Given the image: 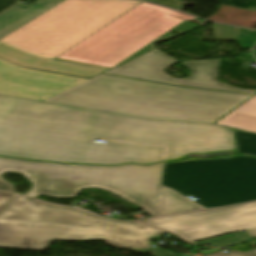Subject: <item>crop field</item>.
<instances>
[{
  "label": "crop field",
  "instance_id": "obj_4",
  "mask_svg": "<svg viewBox=\"0 0 256 256\" xmlns=\"http://www.w3.org/2000/svg\"><path fill=\"white\" fill-rule=\"evenodd\" d=\"M161 231L140 223L113 222L86 212L16 195L0 216V247L45 250L52 241L101 239L136 252L151 248Z\"/></svg>",
  "mask_w": 256,
  "mask_h": 256
},
{
  "label": "crop field",
  "instance_id": "obj_2",
  "mask_svg": "<svg viewBox=\"0 0 256 256\" xmlns=\"http://www.w3.org/2000/svg\"><path fill=\"white\" fill-rule=\"evenodd\" d=\"M251 96L100 74L45 102L149 119L213 123Z\"/></svg>",
  "mask_w": 256,
  "mask_h": 256
},
{
  "label": "crop field",
  "instance_id": "obj_13",
  "mask_svg": "<svg viewBox=\"0 0 256 256\" xmlns=\"http://www.w3.org/2000/svg\"><path fill=\"white\" fill-rule=\"evenodd\" d=\"M216 124L256 133V95Z\"/></svg>",
  "mask_w": 256,
  "mask_h": 256
},
{
  "label": "crop field",
  "instance_id": "obj_22",
  "mask_svg": "<svg viewBox=\"0 0 256 256\" xmlns=\"http://www.w3.org/2000/svg\"><path fill=\"white\" fill-rule=\"evenodd\" d=\"M151 256H179V255H176L166 249H163V250H160V251H156V252H152L150 253Z\"/></svg>",
  "mask_w": 256,
  "mask_h": 256
},
{
  "label": "crop field",
  "instance_id": "obj_12",
  "mask_svg": "<svg viewBox=\"0 0 256 256\" xmlns=\"http://www.w3.org/2000/svg\"><path fill=\"white\" fill-rule=\"evenodd\" d=\"M256 209V202L249 203V204H243L228 208H222V209H216V210H208V211H200V212H194V213H188V214H182L177 216H171L161 219H155L150 221H144L143 223H147L150 225L158 226V227H164V226H172L247 210Z\"/></svg>",
  "mask_w": 256,
  "mask_h": 256
},
{
  "label": "crop field",
  "instance_id": "obj_17",
  "mask_svg": "<svg viewBox=\"0 0 256 256\" xmlns=\"http://www.w3.org/2000/svg\"><path fill=\"white\" fill-rule=\"evenodd\" d=\"M214 40H236L237 34L233 27L213 24Z\"/></svg>",
  "mask_w": 256,
  "mask_h": 256
},
{
  "label": "crop field",
  "instance_id": "obj_3",
  "mask_svg": "<svg viewBox=\"0 0 256 256\" xmlns=\"http://www.w3.org/2000/svg\"><path fill=\"white\" fill-rule=\"evenodd\" d=\"M139 3L63 0L0 39V57L26 67L90 78L108 68L54 58Z\"/></svg>",
  "mask_w": 256,
  "mask_h": 256
},
{
  "label": "crop field",
  "instance_id": "obj_19",
  "mask_svg": "<svg viewBox=\"0 0 256 256\" xmlns=\"http://www.w3.org/2000/svg\"><path fill=\"white\" fill-rule=\"evenodd\" d=\"M246 33H250L249 36H244V35H238L239 39L237 40V42L239 43V45L243 48L248 49L251 46V43L254 42L256 40V31L254 33H251L249 31H247L246 29H242Z\"/></svg>",
  "mask_w": 256,
  "mask_h": 256
},
{
  "label": "crop field",
  "instance_id": "obj_16",
  "mask_svg": "<svg viewBox=\"0 0 256 256\" xmlns=\"http://www.w3.org/2000/svg\"><path fill=\"white\" fill-rule=\"evenodd\" d=\"M241 182L256 179V159L237 156Z\"/></svg>",
  "mask_w": 256,
  "mask_h": 256
},
{
  "label": "crop field",
  "instance_id": "obj_8",
  "mask_svg": "<svg viewBox=\"0 0 256 256\" xmlns=\"http://www.w3.org/2000/svg\"><path fill=\"white\" fill-rule=\"evenodd\" d=\"M175 63L179 62L162 51L154 50L104 73L173 85L250 94L256 93V90H242L218 82L219 60L184 62L191 70L190 77L184 79L172 78V76L163 71L169 65Z\"/></svg>",
  "mask_w": 256,
  "mask_h": 256
},
{
  "label": "crop field",
  "instance_id": "obj_23",
  "mask_svg": "<svg viewBox=\"0 0 256 256\" xmlns=\"http://www.w3.org/2000/svg\"><path fill=\"white\" fill-rule=\"evenodd\" d=\"M18 0H0V12L16 3Z\"/></svg>",
  "mask_w": 256,
  "mask_h": 256
},
{
  "label": "crop field",
  "instance_id": "obj_6",
  "mask_svg": "<svg viewBox=\"0 0 256 256\" xmlns=\"http://www.w3.org/2000/svg\"><path fill=\"white\" fill-rule=\"evenodd\" d=\"M172 12L174 10L142 2L57 59L114 68L154 50L156 42L199 27L169 16Z\"/></svg>",
  "mask_w": 256,
  "mask_h": 256
},
{
  "label": "crop field",
  "instance_id": "obj_11",
  "mask_svg": "<svg viewBox=\"0 0 256 256\" xmlns=\"http://www.w3.org/2000/svg\"><path fill=\"white\" fill-rule=\"evenodd\" d=\"M62 0H36L25 6L16 3L0 13V38Z\"/></svg>",
  "mask_w": 256,
  "mask_h": 256
},
{
  "label": "crop field",
  "instance_id": "obj_7",
  "mask_svg": "<svg viewBox=\"0 0 256 256\" xmlns=\"http://www.w3.org/2000/svg\"><path fill=\"white\" fill-rule=\"evenodd\" d=\"M161 184L205 208L256 200V181L240 183L236 157L165 163Z\"/></svg>",
  "mask_w": 256,
  "mask_h": 256
},
{
  "label": "crop field",
  "instance_id": "obj_14",
  "mask_svg": "<svg viewBox=\"0 0 256 256\" xmlns=\"http://www.w3.org/2000/svg\"><path fill=\"white\" fill-rule=\"evenodd\" d=\"M196 209L202 208L177 193L159 186L154 217Z\"/></svg>",
  "mask_w": 256,
  "mask_h": 256
},
{
  "label": "crop field",
  "instance_id": "obj_20",
  "mask_svg": "<svg viewBox=\"0 0 256 256\" xmlns=\"http://www.w3.org/2000/svg\"><path fill=\"white\" fill-rule=\"evenodd\" d=\"M153 3L161 4L164 6L172 7L179 9L182 3H180L178 0H147Z\"/></svg>",
  "mask_w": 256,
  "mask_h": 256
},
{
  "label": "crop field",
  "instance_id": "obj_21",
  "mask_svg": "<svg viewBox=\"0 0 256 256\" xmlns=\"http://www.w3.org/2000/svg\"><path fill=\"white\" fill-rule=\"evenodd\" d=\"M13 196V194L0 192V213L9 203V201L13 198Z\"/></svg>",
  "mask_w": 256,
  "mask_h": 256
},
{
  "label": "crop field",
  "instance_id": "obj_15",
  "mask_svg": "<svg viewBox=\"0 0 256 256\" xmlns=\"http://www.w3.org/2000/svg\"><path fill=\"white\" fill-rule=\"evenodd\" d=\"M235 135L238 142L239 153L256 156V134L245 131H235Z\"/></svg>",
  "mask_w": 256,
  "mask_h": 256
},
{
  "label": "crop field",
  "instance_id": "obj_1",
  "mask_svg": "<svg viewBox=\"0 0 256 256\" xmlns=\"http://www.w3.org/2000/svg\"><path fill=\"white\" fill-rule=\"evenodd\" d=\"M188 152L234 149L232 130L213 124L149 120L0 95V155L44 161L117 165Z\"/></svg>",
  "mask_w": 256,
  "mask_h": 256
},
{
  "label": "crop field",
  "instance_id": "obj_5",
  "mask_svg": "<svg viewBox=\"0 0 256 256\" xmlns=\"http://www.w3.org/2000/svg\"><path fill=\"white\" fill-rule=\"evenodd\" d=\"M161 165L77 166L0 157V190L14 192L13 185L1 178L2 173L13 171L32 183L25 196L75 198L84 188H99L153 217Z\"/></svg>",
  "mask_w": 256,
  "mask_h": 256
},
{
  "label": "crop field",
  "instance_id": "obj_9",
  "mask_svg": "<svg viewBox=\"0 0 256 256\" xmlns=\"http://www.w3.org/2000/svg\"><path fill=\"white\" fill-rule=\"evenodd\" d=\"M87 79L28 69L0 59V94L43 101Z\"/></svg>",
  "mask_w": 256,
  "mask_h": 256
},
{
  "label": "crop field",
  "instance_id": "obj_10",
  "mask_svg": "<svg viewBox=\"0 0 256 256\" xmlns=\"http://www.w3.org/2000/svg\"><path fill=\"white\" fill-rule=\"evenodd\" d=\"M256 228V210L172 226L169 230L186 241L193 242L229 233Z\"/></svg>",
  "mask_w": 256,
  "mask_h": 256
},
{
  "label": "crop field",
  "instance_id": "obj_18",
  "mask_svg": "<svg viewBox=\"0 0 256 256\" xmlns=\"http://www.w3.org/2000/svg\"><path fill=\"white\" fill-rule=\"evenodd\" d=\"M220 4L256 11V0H217Z\"/></svg>",
  "mask_w": 256,
  "mask_h": 256
},
{
  "label": "crop field",
  "instance_id": "obj_25",
  "mask_svg": "<svg viewBox=\"0 0 256 256\" xmlns=\"http://www.w3.org/2000/svg\"><path fill=\"white\" fill-rule=\"evenodd\" d=\"M247 233L251 235L252 237H256V229L248 230ZM256 256V249L245 252Z\"/></svg>",
  "mask_w": 256,
  "mask_h": 256
},
{
  "label": "crop field",
  "instance_id": "obj_24",
  "mask_svg": "<svg viewBox=\"0 0 256 256\" xmlns=\"http://www.w3.org/2000/svg\"><path fill=\"white\" fill-rule=\"evenodd\" d=\"M208 256H248V255L241 254V253H236V252H231V253H228V254L218 252V253L211 254V255H208Z\"/></svg>",
  "mask_w": 256,
  "mask_h": 256
}]
</instances>
